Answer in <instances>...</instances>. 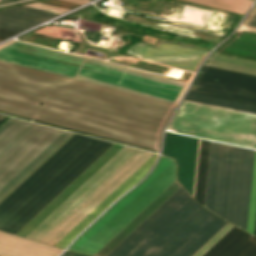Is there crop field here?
Wrapping results in <instances>:
<instances>
[{
    "label": "crop field",
    "mask_w": 256,
    "mask_h": 256,
    "mask_svg": "<svg viewBox=\"0 0 256 256\" xmlns=\"http://www.w3.org/2000/svg\"><path fill=\"white\" fill-rule=\"evenodd\" d=\"M175 104L0 61V112L158 152Z\"/></svg>",
    "instance_id": "8a807250"
},
{
    "label": "crop field",
    "mask_w": 256,
    "mask_h": 256,
    "mask_svg": "<svg viewBox=\"0 0 256 256\" xmlns=\"http://www.w3.org/2000/svg\"><path fill=\"white\" fill-rule=\"evenodd\" d=\"M112 145L75 134L0 202V230L16 234Z\"/></svg>",
    "instance_id": "ac0d7876"
},
{
    "label": "crop field",
    "mask_w": 256,
    "mask_h": 256,
    "mask_svg": "<svg viewBox=\"0 0 256 256\" xmlns=\"http://www.w3.org/2000/svg\"><path fill=\"white\" fill-rule=\"evenodd\" d=\"M0 60L173 103L183 83L22 43L0 50Z\"/></svg>",
    "instance_id": "34b2d1b8"
},
{
    "label": "crop field",
    "mask_w": 256,
    "mask_h": 256,
    "mask_svg": "<svg viewBox=\"0 0 256 256\" xmlns=\"http://www.w3.org/2000/svg\"><path fill=\"white\" fill-rule=\"evenodd\" d=\"M254 150L212 142L205 207L246 230Z\"/></svg>",
    "instance_id": "412701ff"
},
{
    "label": "crop field",
    "mask_w": 256,
    "mask_h": 256,
    "mask_svg": "<svg viewBox=\"0 0 256 256\" xmlns=\"http://www.w3.org/2000/svg\"><path fill=\"white\" fill-rule=\"evenodd\" d=\"M226 223L190 197L127 256H191Z\"/></svg>",
    "instance_id": "f4fd0767"
},
{
    "label": "crop field",
    "mask_w": 256,
    "mask_h": 256,
    "mask_svg": "<svg viewBox=\"0 0 256 256\" xmlns=\"http://www.w3.org/2000/svg\"><path fill=\"white\" fill-rule=\"evenodd\" d=\"M174 180L173 160L161 156L148 177L117 201L67 250L94 255Z\"/></svg>",
    "instance_id": "dd49c442"
},
{
    "label": "crop field",
    "mask_w": 256,
    "mask_h": 256,
    "mask_svg": "<svg viewBox=\"0 0 256 256\" xmlns=\"http://www.w3.org/2000/svg\"><path fill=\"white\" fill-rule=\"evenodd\" d=\"M170 131L256 148V115L183 100Z\"/></svg>",
    "instance_id": "e52e79f7"
},
{
    "label": "crop field",
    "mask_w": 256,
    "mask_h": 256,
    "mask_svg": "<svg viewBox=\"0 0 256 256\" xmlns=\"http://www.w3.org/2000/svg\"><path fill=\"white\" fill-rule=\"evenodd\" d=\"M152 154V152L138 149L47 235H45L40 242L54 246Z\"/></svg>",
    "instance_id": "d8731c3e"
},
{
    "label": "crop field",
    "mask_w": 256,
    "mask_h": 256,
    "mask_svg": "<svg viewBox=\"0 0 256 256\" xmlns=\"http://www.w3.org/2000/svg\"><path fill=\"white\" fill-rule=\"evenodd\" d=\"M189 91L256 104V76L202 65Z\"/></svg>",
    "instance_id": "5a996713"
},
{
    "label": "crop field",
    "mask_w": 256,
    "mask_h": 256,
    "mask_svg": "<svg viewBox=\"0 0 256 256\" xmlns=\"http://www.w3.org/2000/svg\"><path fill=\"white\" fill-rule=\"evenodd\" d=\"M136 150L137 149L135 148L124 146L32 232H30L26 238L39 241Z\"/></svg>",
    "instance_id": "3316defc"
},
{
    "label": "crop field",
    "mask_w": 256,
    "mask_h": 256,
    "mask_svg": "<svg viewBox=\"0 0 256 256\" xmlns=\"http://www.w3.org/2000/svg\"><path fill=\"white\" fill-rule=\"evenodd\" d=\"M126 52L141 59L196 72L208 51L159 38L155 46L138 43Z\"/></svg>",
    "instance_id": "28ad6ade"
},
{
    "label": "crop field",
    "mask_w": 256,
    "mask_h": 256,
    "mask_svg": "<svg viewBox=\"0 0 256 256\" xmlns=\"http://www.w3.org/2000/svg\"><path fill=\"white\" fill-rule=\"evenodd\" d=\"M198 139L166 132L163 155L175 158L177 178L192 195Z\"/></svg>",
    "instance_id": "d1516ede"
},
{
    "label": "crop field",
    "mask_w": 256,
    "mask_h": 256,
    "mask_svg": "<svg viewBox=\"0 0 256 256\" xmlns=\"http://www.w3.org/2000/svg\"><path fill=\"white\" fill-rule=\"evenodd\" d=\"M189 197L181 187L108 256H126Z\"/></svg>",
    "instance_id": "22f410ed"
},
{
    "label": "crop field",
    "mask_w": 256,
    "mask_h": 256,
    "mask_svg": "<svg viewBox=\"0 0 256 256\" xmlns=\"http://www.w3.org/2000/svg\"><path fill=\"white\" fill-rule=\"evenodd\" d=\"M157 154H153L134 173H132L119 187H117L105 200H103L91 213H89L76 227H74L55 247L64 249L69 242L89 225L103 210H105L115 199L127 191L130 187L141 180L154 163Z\"/></svg>",
    "instance_id": "cbeb9de0"
},
{
    "label": "crop field",
    "mask_w": 256,
    "mask_h": 256,
    "mask_svg": "<svg viewBox=\"0 0 256 256\" xmlns=\"http://www.w3.org/2000/svg\"><path fill=\"white\" fill-rule=\"evenodd\" d=\"M203 256H256V238L234 226Z\"/></svg>",
    "instance_id": "5142ce71"
},
{
    "label": "crop field",
    "mask_w": 256,
    "mask_h": 256,
    "mask_svg": "<svg viewBox=\"0 0 256 256\" xmlns=\"http://www.w3.org/2000/svg\"><path fill=\"white\" fill-rule=\"evenodd\" d=\"M122 147H123L122 145L115 144L101 158L99 157L100 159H98L89 169H87L78 179H76L66 190H64L55 200H53L44 210H42L33 220H31L22 230H20L17 233V235L25 237L30 231H32L42 220H44L55 208H57L67 197H69L80 185H82L92 174H94L105 162H107Z\"/></svg>",
    "instance_id": "d9b57169"
},
{
    "label": "crop field",
    "mask_w": 256,
    "mask_h": 256,
    "mask_svg": "<svg viewBox=\"0 0 256 256\" xmlns=\"http://www.w3.org/2000/svg\"><path fill=\"white\" fill-rule=\"evenodd\" d=\"M56 15L58 14L27 6L14 7L0 11V28L20 32Z\"/></svg>",
    "instance_id": "733c2abd"
},
{
    "label": "crop field",
    "mask_w": 256,
    "mask_h": 256,
    "mask_svg": "<svg viewBox=\"0 0 256 256\" xmlns=\"http://www.w3.org/2000/svg\"><path fill=\"white\" fill-rule=\"evenodd\" d=\"M180 187L181 185L175 180L129 224H127L115 237H113L101 250H99L95 256H107Z\"/></svg>",
    "instance_id": "4a817a6b"
},
{
    "label": "crop field",
    "mask_w": 256,
    "mask_h": 256,
    "mask_svg": "<svg viewBox=\"0 0 256 256\" xmlns=\"http://www.w3.org/2000/svg\"><path fill=\"white\" fill-rule=\"evenodd\" d=\"M62 250L0 232V256H58Z\"/></svg>",
    "instance_id": "bc2a9ffb"
},
{
    "label": "crop field",
    "mask_w": 256,
    "mask_h": 256,
    "mask_svg": "<svg viewBox=\"0 0 256 256\" xmlns=\"http://www.w3.org/2000/svg\"><path fill=\"white\" fill-rule=\"evenodd\" d=\"M215 53L256 60V33L237 30Z\"/></svg>",
    "instance_id": "214f88e0"
},
{
    "label": "crop field",
    "mask_w": 256,
    "mask_h": 256,
    "mask_svg": "<svg viewBox=\"0 0 256 256\" xmlns=\"http://www.w3.org/2000/svg\"><path fill=\"white\" fill-rule=\"evenodd\" d=\"M210 146V141L201 139L194 198L203 205L205 202Z\"/></svg>",
    "instance_id": "92a150f3"
},
{
    "label": "crop field",
    "mask_w": 256,
    "mask_h": 256,
    "mask_svg": "<svg viewBox=\"0 0 256 256\" xmlns=\"http://www.w3.org/2000/svg\"><path fill=\"white\" fill-rule=\"evenodd\" d=\"M204 64L256 75V61L212 53Z\"/></svg>",
    "instance_id": "dafd665d"
},
{
    "label": "crop field",
    "mask_w": 256,
    "mask_h": 256,
    "mask_svg": "<svg viewBox=\"0 0 256 256\" xmlns=\"http://www.w3.org/2000/svg\"><path fill=\"white\" fill-rule=\"evenodd\" d=\"M185 99L256 113V105H251V104H246V103H241V102H236V101H231V100H226V99H221V98H216V97H210V96H205V95L188 92Z\"/></svg>",
    "instance_id": "00972430"
},
{
    "label": "crop field",
    "mask_w": 256,
    "mask_h": 256,
    "mask_svg": "<svg viewBox=\"0 0 256 256\" xmlns=\"http://www.w3.org/2000/svg\"><path fill=\"white\" fill-rule=\"evenodd\" d=\"M241 14H245L247 9L252 4V1L248 0H189Z\"/></svg>",
    "instance_id": "a9b5d70f"
},
{
    "label": "crop field",
    "mask_w": 256,
    "mask_h": 256,
    "mask_svg": "<svg viewBox=\"0 0 256 256\" xmlns=\"http://www.w3.org/2000/svg\"><path fill=\"white\" fill-rule=\"evenodd\" d=\"M255 211H256V150H255V156H254V166H253V176H252V186H251V196H250V206H249V216H248V226H247V231L252 234L254 230Z\"/></svg>",
    "instance_id": "4177f3b9"
},
{
    "label": "crop field",
    "mask_w": 256,
    "mask_h": 256,
    "mask_svg": "<svg viewBox=\"0 0 256 256\" xmlns=\"http://www.w3.org/2000/svg\"><path fill=\"white\" fill-rule=\"evenodd\" d=\"M233 225L227 223L220 229L208 242H206L195 254L192 256H202L214 243H216Z\"/></svg>",
    "instance_id": "730fd06b"
},
{
    "label": "crop field",
    "mask_w": 256,
    "mask_h": 256,
    "mask_svg": "<svg viewBox=\"0 0 256 256\" xmlns=\"http://www.w3.org/2000/svg\"><path fill=\"white\" fill-rule=\"evenodd\" d=\"M27 6L41 8V9L50 10V11H55V12H59V13H64V12L68 11V9L45 5V4H41L38 2L29 4Z\"/></svg>",
    "instance_id": "eef30255"
},
{
    "label": "crop field",
    "mask_w": 256,
    "mask_h": 256,
    "mask_svg": "<svg viewBox=\"0 0 256 256\" xmlns=\"http://www.w3.org/2000/svg\"><path fill=\"white\" fill-rule=\"evenodd\" d=\"M242 24L256 27V10L255 9H252V11L249 13V15L246 17V19L243 21Z\"/></svg>",
    "instance_id": "ae1a2a85"
},
{
    "label": "crop field",
    "mask_w": 256,
    "mask_h": 256,
    "mask_svg": "<svg viewBox=\"0 0 256 256\" xmlns=\"http://www.w3.org/2000/svg\"><path fill=\"white\" fill-rule=\"evenodd\" d=\"M14 34H16V32L0 29V41Z\"/></svg>",
    "instance_id": "d3111659"
},
{
    "label": "crop field",
    "mask_w": 256,
    "mask_h": 256,
    "mask_svg": "<svg viewBox=\"0 0 256 256\" xmlns=\"http://www.w3.org/2000/svg\"><path fill=\"white\" fill-rule=\"evenodd\" d=\"M239 29L240 30H245V31L256 32V28L248 27V26H243V25H240Z\"/></svg>",
    "instance_id": "750c4746"
},
{
    "label": "crop field",
    "mask_w": 256,
    "mask_h": 256,
    "mask_svg": "<svg viewBox=\"0 0 256 256\" xmlns=\"http://www.w3.org/2000/svg\"><path fill=\"white\" fill-rule=\"evenodd\" d=\"M62 256H86V255L65 251Z\"/></svg>",
    "instance_id": "bd1437ed"
},
{
    "label": "crop field",
    "mask_w": 256,
    "mask_h": 256,
    "mask_svg": "<svg viewBox=\"0 0 256 256\" xmlns=\"http://www.w3.org/2000/svg\"><path fill=\"white\" fill-rule=\"evenodd\" d=\"M65 1H70V2H74V3H78V4H84V3L88 2L89 0H65Z\"/></svg>",
    "instance_id": "1d83c4d3"
},
{
    "label": "crop field",
    "mask_w": 256,
    "mask_h": 256,
    "mask_svg": "<svg viewBox=\"0 0 256 256\" xmlns=\"http://www.w3.org/2000/svg\"><path fill=\"white\" fill-rule=\"evenodd\" d=\"M5 118H6V116L0 115V122H2Z\"/></svg>",
    "instance_id": "120bbe31"
},
{
    "label": "crop field",
    "mask_w": 256,
    "mask_h": 256,
    "mask_svg": "<svg viewBox=\"0 0 256 256\" xmlns=\"http://www.w3.org/2000/svg\"><path fill=\"white\" fill-rule=\"evenodd\" d=\"M254 235H256V221H255V230H254Z\"/></svg>",
    "instance_id": "d32e631a"
},
{
    "label": "crop field",
    "mask_w": 256,
    "mask_h": 256,
    "mask_svg": "<svg viewBox=\"0 0 256 256\" xmlns=\"http://www.w3.org/2000/svg\"><path fill=\"white\" fill-rule=\"evenodd\" d=\"M254 8L256 9V4H255Z\"/></svg>",
    "instance_id": "5866460e"
},
{
    "label": "crop field",
    "mask_w": 256,
    "mask_h": 256,
    "mask_svg": "<svg viewBox=\"0 0 256 256\" xmlns=\"http://www.w3.org/2000/svg\"><path fill=\"white\" fill-rule=\"evenodd\" d=\"M252 1H254V0H252Z\"/></svg>",
    "instance_id": "028f5c9d"
},
{
    "label": "crop field",
    "mask_w": 256,
    "mask_h": 256,
    "mask_svg": "<svg viewBox=\"0 0 256 256\" xmlns=\"http://www.w3.org/2000/svg\"><path fill=\"white\" fill-rule=\"evenodd\" d=\"M1 1V0H0Z\"/></svg>",
    "instance_id": "e1f06a70"
}]
</instances>
